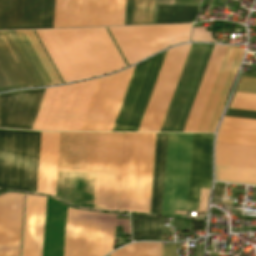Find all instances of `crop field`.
<instances>
[{"label": "crop field", "mask_w": 256, "mask_h": 256, "mask_svg": "<svg viewBox=\"0 0 256 256\" xmlns=\"http://www.w3.org/2000/svg\"><path fill=\"white\" fill-rule=\"evenodd\" d=\"M192 24L109 28L128 66L189 40ZM64 83L125 68L105 28L36 30Z\"/></svg>", "instance_id": "obj_1"}, {"label": "crop field", "mask_w": 256, "mask_h": 256, "mask_svg": "<svg viewBox=\"0 0 256 256\" xmlns=\"http://www.w3.org/2000/svg\"><path fill=\"white\" fill-rule=\"evenodd\" d=\"M124 133H61L56 197L118 210Z\"/></svg>", "instance_id": "obj_2"}, {"label": "crop field", "mask_w": 256, "mask_h": 256, "mask_svg": "<svg viewBox=\"0 0 256 256\" xmlns=\"http://www.w3.org/2000/svg\"><path fill=\"white\" fill-rule=\"evenodd\" d=\"M213 134H168L162 216L176 210L199 212L204 180L211 181ZM205 181L200 212L206 213L210 183Z\"/></svg>", "instance_id": "obj_3"}, {"label": "crop field", "mask_w": 256, "mask_h": 256, "mask_svg": "<svg viewBox=\"0 0 256 256\" xmlns=\"http://www.w3.org/2000/svg\"><path fill=\"white\" fill-rule=\"evenodd\" d=\"M228 46L215 45L183 132H196ZM243 49L229 46L197 132H214Z\"/></svg>", "instance_id": "obj_4"}, {"label": "crop field", "mask_w": 256, "mask_h": 256, "mask_svg": "<svg viewBox=\"0 0 256 256\" xmlns=\"http://www.w3.org/2000/svg\"><path fill=\"white\" fill-rule=\"evenodd\" d=\"M40 132L0 130V188L35 192Z\"/></svg>", "instance_id": "obj_5"}, {"label": "crop field", "mask_w": 256, "mask_h": 256, "mask_svg": "<svg viewBox=\"0 0 256 256\" xmlns=\"http://www.w3.org/2000/svg\"><path fill=\"white\" fill-rule=\"evenodd\" d=\"M97 80L47 89L32 130L79 131Z\"/></svg>", "instance_id": "obj_6"}, {"label": "crop field", "mask_w": 256, "mask_h": 256, "mask_svg": "<svg viewBox=\"0 0 256 256\" xmlns=\"http://www.w3.org/2000/svg\"><path fill=\"white\" fill-rule=\"evenodd\" d=\"M125 0H56L54 28L123 25Z\"/></svg>", "instance_id": "obj_7"}, {"label": "crop field", "mask_w": 256, "mask_h": 256, "mask_svg": "<svg viewBox=\"0 0 256 256\" xmlns=\"http://www.w3.org/2000/svg\"><path fill=\"white\" fill-rule=\"evenodd\" d=\"M166 51L136 65L112 131L138 130Z\"/></svg>", "instance_id": "obj_8"}, {"label": "crop field", "mask_w": 256, "mask_h": 256, "mask_svg": "<svg viewBox=\"0 0 256 256\" xmlns=\"http://www.w3.org/2000/svg\"><path fill=\"white\" fill-rule=\"evenodd\" d=\"M134 67L98 80L80 131L112 130Z\"/></svg>", "instance_id": "obj_9"}, {"label": "crop field", "mask_w": 256, "mask_h": 256, "mask_svg": "<svg viewBox=\"0 0 256 256\" xmlns=\"http://www.w3.org/2000/svg\"><path fill=\"white\" fill-rule=\"evenodd\" d=\"M22 0H0V30L19 29ZM55 0H23L20 29L53 28Z\"/></svg>", "instance_id": "obj_10"}, {"label": "crop field", "mask_w": 256, "mask_h": 256, "mask_svg": "<svg viewBox=\"0 0 256 256\" xmlns=\"http://www.w3.org/2000/svg\"><path fill=\"white\" fill-rule=\"evenodd\" d=\"M46 89L0 95V127L31 130Z\"/></svg>", "instance_id": "obj_11"}, {"label": "crop field", "mask_w": 256, "mask_h": 256, "mask_svg": "<svg viewBox=\"0 0 256 256\" xmlns=\"http://www.w3.org/2000/svg\"><path fill=\"white\" fill-rule=\"evenodd\" d=\"M38 86L9 31H0V89Z\"/></svg>", "instance_id": "obj_12"}, {"label": "crop field", "mask_w": 256, "mask_h": 256, "mask_svg": "<svg viewBox=\"0 0 256 256\" xmlns=\"http://www.w3.org/2000/svg\"><path fill=\"white\" fill-rule=\"evenodd\" d=\"M24 195L0 197V256H19Z\"/></svg>", "instance_id": "obj_13"}, {"label": "crop field", "mask_w": 256, "mask_h": 256, "mask_svg": "<svg viewBox=\"0 0 256 256\" xmlns=\"http://www.w3.org/2000/svg\"><path fill=\"white\" fill-rule=\"evenodd\" d=\"M207 44H192L160 132H174Z\"/></svg>", "instance_id": "obj_14"}, {"label": "crop field", "mask_w": 256, "mask_h": 256, "mask_svg": "<svg viewBox=\"0 0 256 256\" xmlns=\"http://www.w3.org/2000/svg\"><path fill=\"white\" fill-rule=\"evenodd\" d=\"M10 33L15 40L18 48L20 49L23 57L25 58L29 68L31 69L34 77L36 78L39 86H51L53 85V83L54 85L60 84V79L58 78L55 70L53 69L42 47L40 46L33 31H26V33L30 41L32 42L36 52L38 53L42 63L44 64L48 74L50 75L53 83L49 75L47 74L43 64L41 63L37 53L35 52L31 42L29 41L25 31H10Z\"/></svg>", "instance_id": "obj_15"}, {"label": "crop field", "mask_w": 256, "mask_h": 256, "mask_svg": "<svg viewBox=\"0 0 256 256\" xmlns=\"http://www.w3.org/2000/svg\"><path fill=\"white\" fill-rule=\"evenodd\" d=\"M46 198L27 195L22 256H42Z\"/></svg>", "instance_id": "obj_16"}, {"label": "crop field", "mask_w": 256, "mask_h": 256, "mask_svg": "<svg viewBox=\"0 0 256 256\" xmlns=\"http://www.w3.org/2000/svg\"><path fill=\"white\" fill-rule=\"evenodd\" d=\"M60 133L41 132L37 192L55 196Z\"/></svg>", "instance_id": "obj_17"}, {"label": "crop field", "mask_w": 256, "mask_h": 256, "mask_svg": "<svg viewBox=\"0 0 256 256\" xmlns=\"http://www.w3.org/2000/svg\"><path fill=\"white\" fill-rule=\"evenodd\" d=\"M216 141L256 145V120L224 117Z\"/></svg>", "instance_id": "obj_18"}, {"label": "crop field", "mask_w": 256, "mask_h": 256, "mask_svg": "<svg viewBox=\"0 0 256 256\" xmlns=\"http://www.w3.org/2000/svg\"><path fill=\"white\" fill-rule=\"evenodd\" d=\"M167 134H156L150 213L161 215Z\"/></svg>", "instance_id": "obj_19"}, {"label": "crop field", "mask_w": 256, "mask_h": 256, "mask_svg": "<svg viewBox=\"0 0 256 256\" xmlns=\"http://www.w3.org/2000/svg\"><path fill=\"white\" fill-rule=\"evenodd\" d=\"M155 134H145L139 212L149 213Z\"/></svg>", "instance_id": "obj_20"}, {"label": "crop field", "mask_w": 256, "mask_h": 256, "mask_svg": "<svg viewBox=\"0 0 256 256\" xmlns=\"http://www.w3.org/2000/svg\"><path fill=\"white\" fill-rule=\"evenodd\" d=\"M133 240L165 241L163 218L131 214Z\"/></svg>", "instance_id": "obj_21"}, {"label": "crop field", "mask_w": 256, "mask_h": 256, "mask_svg": "<svg viewBox=\"0 0 256 256\" xmlns=\"http://www.w3.org/2000/svg\"><path fill=\"white\" fill-rule=\"evenodd\" d=\"M144 134L135 133L129 211L138 212Z\"/></svg>", "instance_id": "obj_22"}, {"label": "crop field", "mask_w": 256, "mask_h": 256, "mask_svg": "<svg viewBox=\"0 0 256 256\" xmlns=\"http://www.w3.org/2000/svg\"><path fill=\"white\" fill-rule=\"evenodd\" d=\"M134 133H125L119 210L128 211Z\"/></svg>", "instance_id": "obj_23"}, {"label": "crop field", "mask_w": 256, "mask_h": 256, "mask_svg": "<svg viewBox=\"0 0 256 256\" xmlns=\"http://www.w3.org/2000/svg\"><path fill=\"white\" fill-rule=\"evenodd\" d=\"M199 6H157L156 24L193 22Z\"/></svg>", "instance_id": "obj_24"}, {"label": "crop field", "mask_w": 256, "mask_h": 256, "mask_svg": "<svg viewBox=\"0 0 256 256\" xmlns=\"http://www.w3.org/2000/svg\"><path fill=\"white\" fill-rule=\"evenodd\" d=\"M214 45L208 44L175 132H182Z\"/></svg>", "instance_id": "obj_25"}, {"label": "crop field", "mask_w": 256, "mask_h": 256, "mask_svg": "<svg viewBox=\"0 0 256 256\" xmlns=\"http://www.w3.org/2000/svg\"><path fill=\"white\" fill-rule=\"evenodd\" d=\"M216 181L256 185V170L216 166Z\"/></svg>", "instance_id": "obj_26"}, {"label": "crop field", "mask_w": 256, "mask_h": 256, "mask_svg": "<svg viewBox=\"0 0 256 256\" xmlns=\"http://www.w3.org/2000/svg\"><path fill=\"white\" fill-rule=\"evenodd\" d=\"M154 0H135L133 25L152 24Z\"/></svg>", "instance_id": "obj_27"}, {"label": "crop field", "mask_w": 256, "mask_h": 256, "mask_svg": "<svg viewBox=\"0 0 256 256\" xmlns=\"http://www.w3.org/2000/svg\"><path fill=\"white\" fill-rule=\"evenodd\" d=\"M229 108L256 111V95L236 93Z\"/></svg>", "instance_id": "obj_28"}, {"label": "crop field", "mask_w": 256, "mask_h": 256, "mask_svg": "<svg viewBox=\"0 0 256 256\" xmlns=\"http://www.w3.org/2000/svg\"><path fill=\"white\" fill-rule=\"evenodd\" d=\"M236 92L256 94V78L242 77Z\"/></svg>", "instance_id": "obj_29"}, {"label": "crop field", "mask_w": 256, "mask_h": 256, "mask_svg": "<svg viewBox=\"0 0 256 256\" xmlns=\"http://www.w3.org/2000/svg\"><path fill=\"white\" fill-rule=\"evenodd\" d=\"M191 41H205L217 43L215 40L211 38V33L207 32V27L194 28Z\"/></svg>", "instance_id": "obj_30"}, {"label": "crop field", "mask_w": 256, "mask_h": 256, "mask_svg": "<svg viewBox=\"0 0 256 256\" xmlns=\"http://www.w3.org/2000/svg\"><path fill=\"white\" fill-rule=\"evenodd\" d=\"M224 116L256 119V112L229 109Z\"/></svg>", "instance_id": "obj_31"}, {"label": "crop field", "mask_w": 256, "mask_h": 256, "mask_svg": "<svg viewBox=\"0 0 256 256\" xmlns=\"http://www.w3.org/2000/svg\"><path fill=\"white\" fill-rule=\"evenodd\" d=\"M134 0H127L125 25H132Z\"/></svg>", "instance_id": "obj_32"}, {"label": "crop field", "mask_w": 256, "mask_h": 256, "mask_svg": "<svg viewBox=\"0 0 256 256\" xmlns=\"http://www.w3.org/2000/svg\"><path fill=\"white\" fill-rule=\"evenodd\" d=\"M161 256H176V244L162 245Z\"/></svg>", "instance_id": "obj_33"}, {"label": "crop field", "mask_w": 256, "mask_h": 256, "mask_svg": "<svg viewBox=\"0 0 256 256\" xmlns=\"http://www.w3.org/2000/svg\"><path fill=\"white\" fill-rule=\"evenodd\" d=\"M116 225L122 226V219H117ZM124 233H129L128 227H123Z\"/></svg>", "instance_id": "obj_34"}, {"label": "crop field", "mask_w": 256, "mask_h": 256, "mask_svg": "<svg viewBox=\"0 0 256 256\" xmlns=\"http://www.w3.org/2000/svg\"><path fill=\"white\" fill-rule=\"evenodd\" d=\"M160 253H161V243H157L156 256H160Z\"/></svg>", "instance_id": "obj_35"}, {"label": "crop field", "mask_w": 256, "mask_h": 256, "mask_svg": "<svg viewBox=\"0 0 256 256\" xmlns=\"http://www.w3.org/2000/svg\"><path fill=\"white\" fill-rule=\"evenodd\" d=\"M242 76H247V77H256V75H254V74H246V73H242Z\"/></svg>", "instance_id": "obj_36"}]
</instances>
